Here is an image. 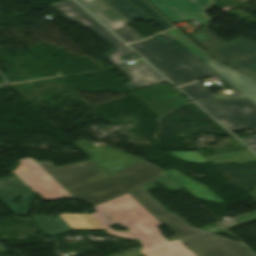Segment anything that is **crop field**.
Returning a JSON list of instances; mask_svg holds the SVG:
<instances>
[{"mask_svg": "<svg viewBox=\"0 0 256 256\" xmlns=\"http://www.w3.org/2000/svg\"><path fill=\"white\" fill-rule=\"evenodd\" d=\"M72 196L92 205L129 192L165 173L141 160L110 176L92 160L57 168L51 162H37ZM148 184V183H147Z\"/></svg>", "mask_w": 256, "mask_h": 256, "instance_id": "crop-field-1", "label": "crop field"}, {"mask_svg": "<svg viewBox=\"0 0 256 256\" xmlns=\"http://www.w3.org/2000/svg\"><path fill=\"white\" fill-rule=\"evenodd\" d=\"M96 212L91 214L109 233L126 238H139L144 248L141 250L146 256H195L179 240L168 242L157 227L156 221L128 194L102 203L94 207ZM119 222L130 232L113 231L108 226Z\"/></svg>", "mask_w": 256, "mask_h": 256, "instance_id": "crop-field-2", "label": "crop field"}, {"mask_svg": "<svg viewBox=\"0 0 256 256\" xmlns=\"http://www.w3.org/2000/svg\"><path fill=\"white\" fill-rule=\"evenodd\" d=\"M159 182L171 192L180 190L166 176L154 183L140 188L129 195L146 209L166 229L176 236L197 256H254L242 244L233 242L207 231L194 228L174 213L168 212L146 191L156 187Z\"/></svg>", "mask_w": 256, "mask_h": 256, "instance_id": "crop-field-3", "label": "crop field"}, {"mask_svg": "<svg viewBox=\"0 0 256 256\" xmlns=\"http://www.w3.org/2000/svg\"><path fill=\"white\" fill-rule=\"evenodd\" d=\"M176 86L201 77L216 75L234 94L226 98L245 97L204 62L167 33H159L142 42L129 45Z\"/></svg>", "mask_w": 256, "mask_h": 256, "instance_id": "crop-field-4", "label": "crop field"}, {"mask_svg": "<svg viewBox=\"0 0 256 256\" xmlns=\"http://www.w3.org/2000/svg\"><path fill=\"white\" fill-rule=\"evenodd\" d=\"M52 7L59 11L69 21L78 22L83 27L89 28L101 40L114 49L107 54L106 57L116 69L133 81L123 84L129 91L167 82L166 79L145 62L125 66L121 57L127 56L126 53L132 52V50L113 36L73 0L53 5Z\"/></svg>", "mask_w": 256, "mask_h": 256, "instance_id": "crop-field-5", "label": "crop field"}, {"mask_svg": "<svg viewBox=\"0 0 256 256\" xmlns=\"http://www.w3.org/2000/svg\"><path fill=\"white\" fill-rule=\"evenodd\" d=\"M230 132L256 130V106L247 99L196 102Z\"/></svg>", "mask_w": 256, "mask_h": 256, "instance_id": "crop-field-6", "label": "crop field"}, {"mask_svg": "<svg viewBox=\"0 0 256 256\" xmlns=\"http://www.w3.org/2000/svg\"><path fill=\"white\" fill-rule=\"evenodd\" d=\"M200 48L225 64H230L256 53V43L238 38L225 43L207 26L190 36Z\"/></svg>", "mask_w": 256, "mask_h": 256, "instance_id": "crop-field-7", "label": "crop field"}, {"mask_svg": "<svg viewBox=\"0 0 256 256\" xmlns=\"http://www.w3.org/2000/svg\"><path fill=\"white\" fill-rule=\"evenodd\" d=\"M16 174L31 190L39 193L44 200L71 196L33 158L18 160Z\"/></svg>", "mask_w": 256, "mask_h": 256, "instance_id": "crop-field-8", "label": "crop field"}, {"mask_svg": "<svg viewBox=\"0 0 256 256\" xmlns=\"http://www.w3.org/2000/svg\"><path fill=\"white\" fill-rule=\"evenodd\" d=\"M174 38H176L180 43L193 52L197 57L203 60L207 65H209L213 70H215L220 76H222L226 81L243 93L246 97L251 99L256 103V80L251 79L245 75L235 72L229 68H226L220 64L211 61L204 53H202L198 48H196L190 41H188L181 33L176 29L167 30Z\"/></svg>", "mask_w": 256, "mask_h": 256, "instance_id": "crop-field-9", "label": "crop field"}, {"mask_svg": "<svg viewBox=\"0 0 256 256\" xmlns=\"http://www.w3.org/2000/svg\"><path fill=\"white\" fill-rule=\"evenodd\" d=\"M92 144L93 142L83 139L75 143L80 150L91 158L108 175L141 160L116 149H101Z\"/></svg>", "mask_w": 256, "mask_h": 256, "instance_id": "crop-field-10", "label": "crop field"}, {"mask_svg": "<svg viewBox=\"0 0 256 256\" xmlns=\"http://www.w3.org/2000/svg\"><path fill=\"white\" fill-rule=\"evenodd\" d=\"M155 8H157L165 17L172 23L186 20L195 19L201 24H204L209 19L197 5L191 0H147ZM210 21V20H209Z\"/></svg>", "mask_w": 256, "mask_h": 256, "instance_id": "crop-field-11", "label": "crop field"}, {"mask_svg": "<svg viewBox=\"0 0 256 256\" xmlns=\"http://www.w3.org/2000/svg\"><path fill=\"white\" fill-rule=\"evenodd\" d=\"M22 196L19 206L11 204V200ZM32 193L30 189L16 176L0 179V200L15 214H26Z\"/></svg>", "mask_w": 256, "mask_h": 256, "instance_id": "crop-field-12", "label": "crop field"}, {"mask_svg": "<svg viewBox=\"0 0 256 256\" xmlns=\"http://www.w3.org/2000/svg\"><path fill=\"white\" fill-rule=\"evenodd\" d=\"M111 30L130 25L121 15L103 0H77Z\"/></svg>", "mask_w": 256, "mask_h": 256, "instance_id": "crop-field-13", "label": "crop field"}, {"mask_svg": "<svg viewBox=\"0 0 256 256\" xmlns=\"http://www.w3.org/2000/svg\"><path fill=\"white\" fill-rule=\"evenodd\" d=\"M167 175L172 177L176 182H178L184 189H186L195 198L225 203L212 191H210L206 186L180 174L174 169H169L164 171Z\"/></svg>", "mask_w": 256, "mask_h": 256, "instance_id": "crop-field-14", "label": "crop field"}, {"mask_svg": "<svg viewBox=\"0 0 256 256\" xmlns=\"http://www.w3.org/2000/svg\"><path fill=\"white\" fill-rule=\"evenodd\" d=\"M212 164H245L256 161V156L248 149L206 157Z\"/></svg>", "mask_w": 256, "mask_h": 256, "instance_id": "crop-field-15", "label": "crop field"}, {"mask_svg": "<svg viewBox=\"0 0 256 256\" xmlns=\"http://www.w3.org/2000/svg\"><path fill=\"white\" fill-rule=\"evenodd\" d=\"M129 22L139 20L150 21L144 14L131 5L127 0H104Z\"/></svg>", "mask_w": 256, "mask_h": 256, "instance_id": "crop-field-16", "label": "crop field"}, {"mask_svg": "<svg viewBox=\"0 0 256 256\" xmlns=\"http://www.w3.org/2000/svg\"><path fill=\"white\" fill-rule=\"evenodd\" d=\"M73 229H104L88 214H60Z\"/></svg>", "mask_w": 256, "mask_h": 256, "instance_id": "crop-field-17", "label": "crop field"}, {"mask_svg": "<svg viewBox=\"0 0 256 256\" xmlns=\"http://www.w3.org/2000/svg\"><path fill=\"white\" fill-rule=\"evenodd\" d=\"M41 227L48 233H60L65 230L71 229V227L65 223L60 217H35Z\"/></svg>", "mask_w": 256, "mask_h": 256, "instance_id": "crop-field-18", "label": "crop field"}, {"mask_svg": "<svg viewBox=\"0 0 256 256\" xmlns=\"http://www.w3.org/2000/svg\"><path fill=\"white\" fill-rule=\"evenodd\" d=\"M128 1L132 3L136 8H138L142 13H144L148 18H150L153 22H155L164 30L172 27L166 20H164L158 13H156L144 1L142 0H128Z\"/></svg>", "mask_w": 256, "mask_h": 256, "instance_id": "crop-field-19", "label": "crop field"}, {"mask_svg": "<svg viewBox=\"0 0 256 256\" xmlns=\"http://www.w3.org/2000/svg\"><path fill=\"white\" fill-rule=\"evenodd\" d=\"M180 89L187 93L194 101L202 99H215L205 90V87L198 82L183 86Z\"/></svg>", "mask_w": 256, "mask_h": 256, "instance_id": "crop-field-20", "label": "crop field"}, {"mask_svg": "<svg viewBox=\"0 0 256 256\" xmlns=\"http://www.w3.org/2000/svg\"><path fill=\"white\" fill-rule=\"evenodd\" d=\"M168 153L189 163H209L204 156L196 151H172Z\"/></svg>", "mask_w": 256, "mask_h": 256, "instance_id": "crop-field-21", "label": "crop field"}, {"mask_svg": "<svg viewBox=\"0 0 256 256\" xmlns=\"http://www.w3.org/2000/svg\"><path fill=\"white\" fill-rule=\"evenodd\" d=\"M230 66L256 77V54L232 63Z\"/></svg>", "mask_w": 256, "mask_h": 256, "instance_id": "crop-field-22", "label": "crop field"}, {"mask_svg": "<svg viewBox=\"0 0 256 256\" xmlns=\"http://www.w3.org/2000/svg\"><path fill=\"white\" fill-rule=\"evenodd\" d=\"M113 32H115L126 43L143 39V37H141L137 32H135L129 26L113 30Z\"/></svg>", "mask_w": 256, "mask_h": 256, "instance_id": "crop-field-23", "label": "crop field"}, {"mask_svg": "<svg viewBox=\"0 0 256 256\" xmlns=\"http://www.w3.org/2000/svg\"><path fill=\"white\" fill-rule=\"evenodd\" d=\"M195 4H197L201 9L205 12L212 4V0H192Z\"/></svg>", "mask_w": 256, "mask_h": 256, "instance_id": "crop-field-24", "label": "crop field"}, {"mask_svg": "<svg viewBox=\"0 0 256 256\" xmlns=\"http://www.w3.org/2000/svg\"><path fill=\"white\" fill-rule=\"evenodd\" d=\"M243 141L256 152V136L243 139Z\"/></svg>", "mask_w": 256, "mask_h": 256, "instance_id": "crop-field-25", "label": "crop field"}, {"mask_svg": "<svg viewBox=\"0 0 256 256\" xmlns=\"http://www.w3.org/2000/svg\"><path fill=\"white\" fill-rule=\"evenodd\" d=\"M3 249L2 248H0V251H2Z\"/></svg>", "mask_w": 256, "mask_h": 256, "instance_id": "crop-field-26", "label": "crop field"}]
</instances>
